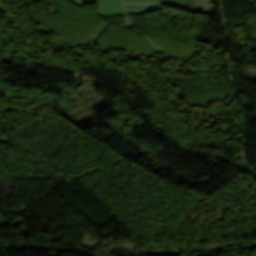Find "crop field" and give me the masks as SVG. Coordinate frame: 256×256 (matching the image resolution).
Listing matches in <instances>:
<instances>
[{
    "label": "crop field",
    "instance_id": "8a807250",
    "mask_svg": "<svg viewBox=\"0 0 256 256\" xmlns=\"http://www.w3.org/2000/svg\"><path fill=\"white\" fill-rule=\"evenodd\" d=\"M98 10L99 15L101 16H117V15H126L122 0H98Z\"/></svg>",
    "mask_w": 256,
    "mask_h": 256
},
{
    "label": "crop field",
    "instance_id": "ac0d7876",
    "mask_svg": "<svg viewBox=\"0 0 256 256\" xmlns=\"http://www.w3.org/2000/svg\"><path fill=\"white\" fill-rule=\"evenodd\" d=\"M128 14L164 10V4L124 2Z\"/></svg>",
    "mask_w": 256,
    "mask_h": 256
},
{
    "label": "crop field",
    "instance_id": "34b2d1b8",
    "mask_svg": "<svg viewBox=\"0 0 256 256\" xmlns=\"http://www.w3.org/2000/svg\"><path fill=\"white\" fill-rule=\"evenodd\" d=\"M73 4H96L97 0H69Z\"/></svg>",
    "mask_w": 256,
    "mask_h": 256
},
{
    "label": "crop field",
    "instance_id": "412701ff",
    "mask_svg": "<svg viewBox=\"0 0 256 256\" xmlns=\"http://www.w3.org/2000/svg\"><path fill=\"white\" fill-rule=\"evenodd\" d=\"M124 1L164 3L165 0H124Z\"/></svg>",
    "mask_w": 256,
    "mask_h": 256
},
{
    "label": "crop field",
    "instance_id": "f4fd0767",
    "mask_svg": "<svg viewBox=\"0 0 256 256\" xmlns=\"http://www.w3.org/2000/svg\"><path fill=\"white\" fill-rule=\"evenodd\" d=\"M179 0H166L165 6H178Z\"/></svg>",
    "mask_w": 256,
    "mask_h": 256
}]
</instances>
